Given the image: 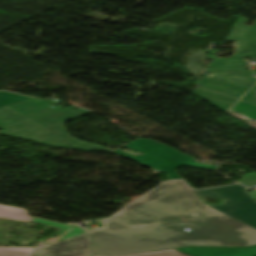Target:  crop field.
<instances>
[{"label": "crop field", "mask_w": 256, "mask_h": 256, "mask_svg": "<svg viewBox=\"0 0 256 256\" xmlns=\"http://www.w3.org/2000/svg\"><path fill=\"white\" fill-rule=\"evenodd\" d=\"M161 199L101 221L91 234L94 255H118L187 245L256 244V201L241 185L195 191L171 181L155 189ZM198 196L224 199L204 205ZM198 214V216H194ZM191 231L186 232L183 229Z\"/></svg>", "instance_id": "1"}, {"label": "crop field", "mask_w": 256, "mask_h": 256, "mask_svg": "<svg viewBox=\"0 0 256 256\" xmlns=\"http://www.w3.org/2000/svg\"><path fill=\"white\" fill-rule=\"evenodd\" d=\"M246 18L237 17L228 40L237 41V53L230 59H213L193 93L223 110L234 104L255 82L240 58L256 57V25H243ZM256 22V20H255Z\"/></svg>", "instance_id": "2"}, {"label": "crop field", "mask_w": 256, "mask_h": 256, "mask_svg": "<svg viewBox=\"0 0 256 256\" xmlns=\"http://www.w3.org/2000/svg\"><path fill=\"white\" fill-rule=\"evenodd\" d=\"M128 148L144 153L142 156H133L118 150L111 153L126 157L141 164L166 173L170 180L182 179L174 170L182 165L216 170L217 167L198 164L187 155L179 153L171 148L159 144L151 139H138L127 145Z\"/></svg>", "instance_id": "3"}, {"label": "crop field", "mask_w": 256, "mask_h": 256, "mask_svg": "<svg viewBox=\"0 0 256 256\" xmlns=\"http://www.w3.org/2000/svg\"><path fill=\"white\" fill-rule=\"evenodd\" d=\"M31 223L42 224L61 230L57 238L42 242V248L36 249L32 256H92L90 234L70 225H64L32 217Z\"/></svg>", "instance_id": "4"}, {"label": "crop field", "mask_w": 256, "mask_h": 256, "mask_svg": "<svg viewBox=\"0 0 256 256\" xmlns=\"http://www.w3.org/2000/svg\"><path fill=\"white\" fill-rule=\"evenodd\" d=\"M0 133L67 149L83 150L93 152L92 148L80 147L73 145L61 137L47 131L46 129L34 124L33 122L18 116L10 110L0 108ZM63 141L68 144L62 143ZM71 145L75 148L67 147Z\"/></svg>", "instance_id": "5"}, {"label": "crop field", "mask_w": 256, "mask_h": 256, "mask_svg": "<svg viewBox=\"0 0 256 256\" xmlns=\"http://www.w3.org/2000/svg\"><path fill=\"white\" fill-rule=\"evenodd\" d=\"M73 108L75 107L70 106L62 110L48 108V109L40 110L30 114L22 115V116L46 128L47 130L61 136L62 138L66 139L67 141L73 144L92 147V148H95V150L110 152L111 151L110 149H106L100 145H93V144L81 142L66 135L65 129L62 124L64 120L77 117L80 115H84L87 113H91L86 110L80 109L78 107H77L78 110L74 111L72 110Z\"/></svg>", "instance_id": "6"}, {"label": "crop field", "mask_w": 256, "mask_h": 256, "mask_svg": "<svg viewBox=\"0 0 256 256\" xmlns=\"http://www.w3.org/2000/svg\"><path fill=\"white\" fill-rule=\"evenodd\" d=\"M191 256H256L255 247H188L177 249Z\"/></svg>", "instance_id": "7"}, {"label": "crop field", "mask_w": 256, "mask_h": 256, "mask_svg": "<svg viewBox=\"0 0 256 256\" xmlns=\"http://www.w3.org/2000/svg\"><path fill=\"white\" fill-rule=\"evenodd\" d=\"M48 103L44 100L32 98L23 102H19L10 106H6V108L10 109L11 111L22 115L26 113H30L33 111H37L40 109L48 108Z\"/></svg>", "instance_id": "8"}, {"label": "crop field", "mask_w": 256, "mask_h": 256, "mask_svg": "<svg viewBox=\"0 0 256 256\" xmlns=\"http://www.w3.org/2000/svg\"><path fill=\"white\" fill-rule=\"evenodd\" d=\"M0 218L29 222L31 216L23 208L0 205Z\"/></svg>", "instance_id": "9"}, {"label": "crop field", "mask_w": 256, "mask_h": 256, "mask_svg": "<svg viewBox=\"0 0 256 256\" xmlns=\"http://www.w3.org/2000/svg\"><path fill=\"white\" fill-rule=\"evenodd\" d=\"M36 247H0V256H31Z\"/></svg>", "instance_id": "10"}, {"label": "crop field", "mask_w": 256, "mask_h": 256, "mask_svg": "<svg viewBox=\"0 0 256 256\" xmlns=\"http://www.w3.org/2000/svg\"><path fill=\"white\" fill-rule=\"evenodd\" d=\"M231 111L239 113L244 117L256 120V105L239 101Z\"/></svg>", "instance_id": "11"}, {"label": "crop field", "mask_w": 256, "mask_h": 256, "mask_svg": "<svg viewBox=\"0 0 256 256\" xmlns=\"http://www.w3.org/2000/svg\"><path fill=\"white\" fill-rule=\"evenodd\" d=\"M125 256H188L176 250H166V251H155V252H147V253H140V254H132V255H125Z\"/></svg>", "instance_id": "12"}, {"label": "crop field", "mask_w": 256, "mask_h": 256, "mask_svg": "<svg viewBox=\"0 0 256 256\" xmlns=\"http://www.w3.org/2000/svg\"><path fill=\"white\" fill-rule=\"evenodd\" d=\"M160 198V196L158 195V193L154 190L152 192H150L149 194H147L146 196L142 197L141 199H139L138 201H136L135 203H133L131 206H129L127 209H125L124 211L122 212H125V211H128L134 207H137L141 204H144V203H147V202H150L152 200H155V199H158ZM120 212V213H122ZM119 213V214H120Z\"/></svg>", "instance_id": "13"}, {"label": "crop field", "mask_w": 256, "mask_h": 256, "mask_svg": "<svg viewBox=\"0 0 256 256\" xmlns=\"http://www.w3.org/2000/svg\"><path fill=\"white\" fill-rule=\"evenodd\" d=\"M242 100L256 104V85L242 98Z\"/></svg>", "instance_id": "14"}]
</instances>
